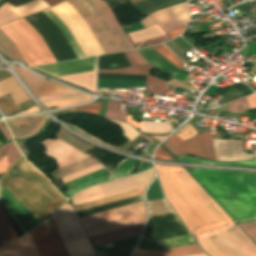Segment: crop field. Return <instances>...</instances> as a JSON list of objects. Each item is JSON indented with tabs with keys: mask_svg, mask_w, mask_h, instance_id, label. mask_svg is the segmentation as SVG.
I'll use <instances>...</instances> for the list:
<instances>
[{
	"mask_svg": "<svg viewBox=\"0 0 256 256\" xmlns=\"http://www.w3.org/2000/svg\"><path fill=\"white\" fill-rule=\"evenodd\" d=\"M8 77H11V74L6 71H0V80L6 79Z\"/></svg>",
	"mask_w": 256,
	"mask_h": 256,
	"instance_id": "obj_70",
	"label": "crop field"
},
{
	"mask_svg": "<svg viewBox=\"0 0 256 256\" xmlns=\"http://www.w3.org/2000/svg\"><path fill=\"white\" fill-rule=\"evenodd\" d=\"M101 105L102 104H92L90 106H86V107L75 109V110H83V111H86V112H91V113L98 114L99 110L101 108ZM70 111H72V110H70Z\"/></svg>",
	"mask_w": 256,
	"mask_h": 256,
	"instance_id": "obj_60",
	"label": "crop field"
},
{
	"mask_svg": "<svg viewBox=\"0 0 256 256\" xmlns=\"http://www.w3.org/2000/svg\"><path fill=\"white\" fill-rule=\"evenodd\" d=\"M83 194H76L72 201L74 206L105 198L99 185L84 190Z\"/></svg>",
	"mask_w": 256,
	"mask_h": 256,
	"instance_id": "obj_35",
	"label": "crop field"
},
{
	"mask_svg": "<svg viewBox=\"0 0 256 256\" xmlns=\"http://www.w3.org/2000/svg\"><path fill=\"white\" fill-rule=\"evenodd\" d=\"M213 140L219 161H240L255 158V154L242 151V142L239 140Z\"/></svg>",
	"mask_w": 256,
	"mask_h": 256,
	"instance_id": "obj_19",
	"label": "crop field"
},
{
	"mask_svg": "<svg viewBox=\"0 0 256 256\" xmlns=\"http://www.w3.org/2000/svg\"><path fill=\"white\" fill-rule=\"evenodd\" d=\"M100 168H102V166H101L100 164H98V165H96V166H93V167L88 168V169H86V170H83V171H81V172H78V173H75V174L70 175V176H68V177H65V178H63V181H64V183H65V182H68V181H70V180H73V179H75V178H78V177H80V176H83V175H85V174H87V173H90V172L95 171V170L100 169ZM102 169H103V168H102ZM97 171H98V170H97ZM92 173H93V172H92Z\"/></svg>",
	"mask_w": 256,
	"mask_h": 256,
	"instance_id": "obj_56",
	"label": "crop field"
},
{
	"mask_svg": "<svg viewBox=\"0 0 256 256\" xmlns=\"http://www.w3.org/2000/svg\"><path fill=\"white\" fill-rule=\"evenodd\" d=\"M99 117V116H97ZM103 118V117H100ZM107 119V118H104ZM110 120L116 124H118L124 131V136L127 137L130 141L133 140L135 137H137L140 133H138L135 129H133L130 125L123 123V122H119V121H115V120H111V119H107Z\"/></svg>",
	"mask_w": 256,
	"mask_h": 256,
	"instance_id": "obj_48",
	"label": "crop field"
},
{
	"mask_svg": "<svg viewBox=\"0 0 256 256\" xmlns=\"http://www.w3.org/2000/svg\"><path fill=\"white\" fill-rule=\"evenodd\" d=\"M38 111H39L38 108H37L36 106H34V107H32V108H30V109H28V110H26V111H24V112H21V113H19V114L31 113V112H38Z\"/></svg>",
	"mask_w": 256,
	"mask_h": 256,
	"instance_id": "obj_71",
	"label": "crop field"
},
{
	"mask_svg": "<svg viewBox=\"0 0 256 256\" xmlns=\"http://www.w3.org/2000/svg\"><path fill=\"white\" fill-rule=\"evenodd\" d=\"M31 166L22 156L1 181L42 223L66 200Z\"/></svg>",
	"mask_w": 256,
	"mask_h": 256,
	"instance_id": "obj_4",
	"label": "crop field"
},
{
	"mask_svg": "<svg viewBox=\"0 0 256 256\" xmlns=\"http://www.w3.org/2000/svg\"><path fill=\"white\" fill-rule=\"evenodd\" d=\"M153 48L159 52L161 55H163L165 58H167L169 61H171L174 65H176L178 68H181L183 66V62H181L173 53H171L164 45H156L153 46Z\"/></svg>",
	"mask_w": 256,
	"mask_h": 256,
	"instance_id": "obj_46",
	"label": "crop field"
},
{
	"mask_svg": "<svg viewBox=\"0 0 256 256\" xmlns=\"http://www.w3.org/2000/svg\"><path fill=\"white\" fill-rule=\"evenodd\" d=\"M8 94H10L15 104L29 99L13 77L0 81V97Z\"/></svg>",
	"mask_w": 256,
	"mask_h": 256,
	"instance_id": "obj_28",
	"label": "crop field"
},
{
	"mask_svg": "<svg viewBox=\"0 0 256 256\" xmlns=\"http://www.w3.org/2000/svg\"><path fill=\"white\" fill-rule=\"evenodd\" d=\"M234 86H235L244 96H246V95H248V94H250V93L253 92V91H252L250 88H248L246 85H244V84H242V83H236L235 85L230 86L229 88L226 87V88H224V89H221V88L218 87L217 90L215 91V93H217V94L223 96V95L225 94V92H226L228 89H231V88L234 87Z\"/></svg>",
	"mask_w": 256,
	"mask_h": 256,
	"instance_id": "obj_51",
	"label": "crop field"
},
{
	"mask_svg": "<svg viewBox=\"0 0 256 256\" xmlns=\"http://www.w3.org/2000/svg\"><path fill=\"white\" fill-rule=\"evenodd\" d=\"M138 52L152 65L159 68L163 72L167 73L170 76L176 75L179 70L170 62H168L164 57H162L159 53H157L152 48L138 50Z\"/></svg>",
	"mask_w": 256,
	"mask_h": 256,
	"instance_id": "obj_27",
	"label": "crop field"
},
{
	"mask_svg": "<svg viewBox=\"0 0 256 256\" xmlns=\"http://www.w3.org/2000/svg\"><path fill=\"white\" fill-rule=\"evenodd\" d=\"M155 166L165 196L194 235L233 221L183 167Z\"/></svg>",
	"mask_w": 256,
	"mask_h": 256,
	"instance_id": "obj_2",
	"label": "crop field"
},
{
	"mask_svg": "<svg viewBox=\"0 0 256 256\" xmlns=\"http://www.w3.org/2000/svg\"><path fill=\"white\" fill-rule=\"evenodd\" d=\"M125 56L127 57L128 61L130 62L131 66L138 65L136 61L130 56L128 52H124Z\"/></svg>",
	"mask_w": 256,
	"mask_h": 256,
	"instance_id": "obj_68",
	"label": "crop field"
},
{
	"mask_svg": "<svg viewBox=\"0 0 256 256\" xmlns=\"http://www.w3.org/2000/svg\"><path fill=\"white\" fill-rule=\"evenodd\" d=\"M121 103L122 102H115L110 100L105 116L117 118L125 121L127 115L120 114Z\"/></svg>",
	"mask_w": 256,
	"mask_h": 256,
	"instance_id": "obj_45",
	"label": "crop field"
},
{
	"mask_svg": "<svg viewBox=\"0 0 256 256\" xmlns=\"http://www.w3.org/2000/svg\"><path fill=\"white\" fill-rule=\"evenodd\" d=\"M149 68L154 67L147 64L142 66L126 67L114 70H98V72L147 75L145 92L164 95L166 89L168 88V85L165 84L166 81L149 76Z\"/></svg>",
	"mask_w": 256,
	"mask_h": 256,
	"instance_id": "obj_20",
	"label": "crop field"
},
{
	"mask_svg": "<svg viewBox=\"0 0 256 256\" xmlns=\"http://www.w3.org/2000/svg\"><path fill=\"white\" fill-rule=\"evenodd\" d=\"M172 41L181 49L183 53H186L192 49V47L180 36Z\"/></svg>",
	"mask_w": 256,
	"mask_h": 256,
	"instance_id": "obj_59",
	"label": "crop field"
},
{
	"mask_svg": "<svg viewBox=\"0 0 256 256\" xmlns=\"http://www.w3.org/2000/svg\"><path fill=\"white\" fill-rule=\"evenodd\" d=\"M168 135H165V136H153L155 137L156 139H158L159 141H162L164 138H166Z\"/></svg>",
	"mask_w": 256,
	"mask_h": 256,
	"instance_id": "obj_73",
	"label": "crop field"
},
{
	"mask_svg": "<svg viewBox=\"0 0 256 256\" xmlns=\"http://www.w3.org/2000/svg\"><path fill=\"white\" fill-rule=\"evenodd\" d=\"M56 137L66 141L67 143H69L70 145H72L73 147H75L76 149L81 151L82 153L94 148L86 143H83V142L77 140L76 138H74L72 135H70L68 132H66L61 127L59 128V131L57 132Z\"/></svg>",
	"mask_w": 256,
	"mask_h": 256,
	"instance_id": "obj_37",
	"label": "crop field"
},
{
	"mask_svg": "<svg viewBox=\"0 0 256 256\" xmlns=\"http://www.w3.org/2000/svg\"><path fill=\"white\" fill-rule=\"evenodd\" d=\"M58 78L95 92L96 71Z\"/></svg>",
	"mask_w": 256,
	"mask_h": 256,
	"instance_id": "obj_31",
	"label": "crop field"
},
{
	"mask_svg": "<svg viewBox=\"0 0 256 256\" xmlns=\"http://www.w3.org/2000/svg\"><path fill=\"white\" fill-rule=\"evenodd\" d=\"M0 29L16 45L28 66L42 65L41 61L45 60L56 62L41 35L24 18L5 24Z\"/></svg>",
	"mask_w": 256,
	"mask_h": 256,
	"instance_id": "obj_6",
	"label": "crop field"
},
{
	"mask_svg": "<svg viewBox=\"0 0 256 256\" xmlns=\"http://www.w3.org/2000/svg\"><path fill=\"white\" fill-rule=\"evenodd\" d=\"M13 68L16 72L21 76V78L29 85V87L34 91L36 96H41L50 93H58V92H65V91H73L67 87L49 82L40 76L29 72L22 68Z\"/></svg>",
	"mask_w": 256,
	"mask_h": 256,
	"instance_id": "obj_18",
	"label": "crop field"
},
{
	"mask_svg": "<svg viewBox=\"0 0 256 256\" xmlns=\"http://www.w3.org/2000/svg\"><path fill=\"white\" fill-rule=\"evenodd\" d=\"M134 256H165L163 250H136Z\"/></svg>",
	"mask_w": 256,
	"mask_h": 256,
	"instance_id": "obj_58",
	"label": "crop field"
},
{
	"mask_svg": "<svg viewBox=\"0 0 256 256\" xmlns=\"http://www.w3.org/2000/svg\"><path fill=\"white\" fill-rule=\"evenodd\" d=\"M53 6L64 0H43ZM87 22L105 53L133 49L109 6L102 0H66ZM49 8L69 29L85 57L103 54L85 20L67 3Z\"/></svg>",
	"mask_w": 256,
	"mask_h": 256,
	"instance_id": "obj_1",
	"label": "crop field"
},
{
	"mask_svg": "<svg viewBox=\"0 0 256 256\" xmlns=\"http://www.w3.org/2000/svg\"><path fill=\"white\" fill-rule=\"evenodd\" d=\"M178 159H179V161H186V162L212 163V164H223V165H231V166L256 168V160L246 161V162H238V163H221V162L200 160V159H196V158H192V157H188V156L180 157Z\"/></svg>",
	"mask_w": 256,
	"mask_h": 256,
	"instance_id": "obj_44",
	"label": "crop field"
},
{
	"mask_svg": "<svg viewBox=\"0 0 256 256\" xmlns=\"http://www.w3.org/2000/svg\"><path fill=\"white\" fill-rule=\"evenodd\" d=\"M1 124H3L2 121H0V130L3 134V136L5 137L6 141L11 140L12 138H11L10 134L8 133L6 127H3Z\"/></svg>",
	"mask_w": 256,
	"mask_h": 256,
	"instance_id": "obj_65",
	"label": "crop field"
},
{
	"mask_svg": "<svg viewBox=\"0 0 256 256\" xmlns=\"http://www.w3.org/2000/svg\"><path fill=\"white\" fill-rule=\"evenodd\" d=\"M144 220H145V215L140 216V217H136V218H132V219H129V220L117 222V223H114V224L102 226V227H99V228L87 230L86 232H87L88 236L90 237V236L102 234V233H105V232L113 231V230H116V229L128 227V226H131V225L143 223Z\"/></svg>",
	"mask_w": 256,
	"mask_h": 256,
	"instance_id": "obj_33",
	"label": "crop field"
},
{
	"mask_svg": "<svg viewBox=\"0 0 256 256\" xmlns=\"http://www.w3.org/2000/svg\"><path fill=\"white\" fill-rule=\"evenodd\" d=\"M87 100H90V99H85V100H67V101H48V102H43V104L46 107L56 105L57 108H59V107H63V106H67V105H71V104L87 101Z\"/></svg>",
	"mask_w": 256,
	"mask_h": 256,
	"instance_id": "obj_55",
	"label": "crop field"
},
{
	"mask_svg": "<svg viewBox=\"0 0 256 256\" xmlns=\"http://www.w3.org/2000/svg\"><path fill=\"white\" fill-rule=\"evenodd\" d=\"M158 241L162 243L164 249L195 243L190 235L175 237V238H170V239H164V240H158Z\"/></svg>",
	"mask_w": 256,
	"mask_h": 256,
	"instance_id": "obj_43",
	"label": "crop field"
},
{
	"mask_svg": "<svg viewBox=\"0 0 256 256\" xmlns=\"http://www.w3.org/2000/svg\"><path fill=\"white\" fill-rule=\"evenodd\" d=\"M0 193L1 203L25 233L40 224L1 182Z\"/></svg>",
	"mask_w": 256,
	"mask_h": 256,
	"instance_id": "obj_13",
	"label": "crop field"
},
{
	"mask_svg": "<svg viewBox=\"0 0 256 256\" xmlns=\"http://www.w3.org/2000/svg\"><path fill=\"white\" fill-rule=\"evenodd\" d=\"M192 175L235 221L256 217V174L195 168Z\"/></svg>",
	"mask_w": 256,
	"mask_h": 256,
	"instance_id": "obj_3",
	"label": "crop field"
},
{
	"mask_svg": "<svg viewBox=\"0 0 256 256\" xmlns=\"http://www.w3.org/2000/svg\"><path fill=\"white\" fill-rule=\"evenodd\" d=\"M109 180H113V178L109 174V172L103 168V169H100L98 171H95L93 173L87 174L83 177H80L78 179H75L73 181L66 183L65 185L70 190L63 192L61 194H63L66 198H69L76 192H78L90 185L109 181Z\"/></svg>",
	"mask_w": 256,
	"mask_h": 256,
	"instance_id": "obj_23",
	"label": "crop field"
},
{
	"mask_svg": "<svg viewBox=\"0 0 256 256\" xmlns=\"http://www.w3.org/2000/svg\"><path fill=\"white\" fill-rule=\"evenodd\" d=\"M48 7L42 0H35L17 8L6 2L0 7V25L10 20L40 12Z\"/></svg>",
	"mask_w": 256,
	"mask_h": 256,
	"instance_id": "obj_21",
	"label": "crop field"
},
{
	"mask_svg": "<svg viewBox=\"0 0 256 256\" xmlns=\"http://www.w3.org/2000/svg\"><path fill=\"white\" fill-rule=\"evenodd\" d=\"M229 108L230 112L232 113H241L245 110L250 109L245 98L237 102L230 103Z\"/></svg>",
	"mask_w": 256,
	"mask_h": 256,
	"instance_id": "obj_52",
	"label": "crop field"
},
{
	"mask_svg": "<svg viewBox=\"0 0 256 256\" xmlns=\"http://www.w3.org/2000/svg\"><path fill=\"white\" fill-rule=\"evenodd\" d=\"M195 256H205L204 254H201V255H195Z\"/></svg>",
	"mask_w": 256,
	"mask_h": 256,
	"instance_id": "obj_76",
	"label": "crop field"
},
{
	"mask_svg": "<svg viewBox=\"0 0 256 256\" xmlns=\"http://www.w3.org/2000/svg\"><path fill=\"white\" fill-rule=\"evenodd\" d=\"M96 164H98V162L95 159L89 157L87 159L76 162L75 164H70L65 167L59 168V169L55 170L54 172H52L51 175L56 180H58L60 178H63L65 176H68L70 174H73L75 172H78L80 170H83L85 168H88V167L96 165Z\"/></svg>",
	"mask_w": 256,
	"mask_h": 256,
	"instance_id": "obj_30",
	"label": "crop field"
},
{
	"mask_svg": "<svg viewBox=\"0 0 256 256\" xmlns=\"http://www.w3.org/2000/svg\"><path fill=\"white\" fill-rule=\"evenodd\" d=\"M141 131L149 132V133H167V132H171L172 130L168 121H163V122L142 121Z\"/></svg>",
	"mask_w": 256,
	"mask_h": 256,
	"instance_id": "obj_38",
	"label": "crop field"
},
{
	"mask_svg": "<svg viewBox=\"0 0 256 256\" xmlns=\"http://www.w3.org/2000/svg\"><path fill=\"white\" fill-rule=\"evenodd\" d=\"M136 160L127 158L121 161L118 166L111 172L115 178L129 175V171L135 168Z\"/></svg>",
	"mask_w": 256,
	"mask_h": 256,
	"instance_id": "obj_41",
	"label": "crop field"
},
{
	"mask_svg": "<svg viewBox=\"0 0 256 256\" xmlns=\"http://www.w3.org/2000/svg\"><path fill=\"white\" fill-rule=\"evenodd\" d=\"M241 97H243V95L234 87L233 89L228 90L220 100L226 104Z\"/></svg>",
	"mask_w": 256,
	"mask_h": 256,
	"instance_id": "obj_54",
	"label": "crop field"
},
{
	"mask_svg": "<svg viewBox=\"0 0 256 256\" xmlns=\"http://www.w3.org/2000/svg\"><path fill=\"white\" fill-rule=\"evenodd\" d=\"M140 136L146 138L147 140H149V141H151V142L154 141V140H152V139H150V138H148V137H146V136H144V135H142V134H141Z\"/></svg>",
	"mask_w": 256,
	"mask_h": 256,
	"instance_id": "obj_74",
	"label": "crop field"
},
{
	"mask_svg": "<svg viewBox=\"0 0 256 256\" xmlns=\"http://www.w3.org/2000/svg\"><path fill=\"white\" fill-rule=\"evenodd\" d=\"M143 225H144V223L135 225V226H131L128 228L120 229L117 231L105 233L102 235L90 237L89 239H90L93 247H95V246L131 238V237L139 236L143 229Z\"/></svg>",
	"mask_w": 256,
	"mask_h": 256,
	"instance_id": "obj_24",
	"label": "crop field"
},
{
	"mask_svg": "<svg viewBox=\"0 0 256 256\" xmlns=\"http://www.w3.org/2000/svg\"><path fill=\"white\" fill-rule=\"evenodd\" d=\"M29 234L40 256H68L52 220Z\"/></svg>",
	"mask_w": 256,
	"mask_h": 256,
	"instance_id": "obj_10",
	"label": "crop field"
},
{
	"mask_svg": "<svg viewBox=\"0 0 256 256\" xmlns=\"http://www.w3.org/2000/svg\"><path fill=\"white\" fill-rule=\"evenodd\" d=\"M0 256H39L29 234L0 248Z\"/></svg>",
	"mask_w": 256,
	"mask_h": 256,
	"instance_id": "obj_25",
	"label": "crop field"
},
{
	"mask_svg": "<svg viewBox=\"0 0 256 256\" xmlns=\"http://www.w3.org/2000/svg\"><path fill=\"white\" fill-rule=\"evenodd\" d=\"M44 145L46 148V154L54 159H56L59 167L79 161L81 159L87 158L89 156L80 153L76 149H74L69 144L65 143L60 139L55 140H47L39 145Z\"/></svg>",
	"mask_w": 256,
	"mask_h": 256,
	"instance_id": "obj_16",
	"label": "crop field"
},
{
	"mask_svg": "<svg viewBox=\"0 0 256 256\" xmlns=\"http://www.w3.org/2000/svg\"><path fill=\"white\" fill-rule=\"evenodd\" d=\"M137 249H163L160 243L141 239Z\"/></svg>",
	"mask_w": 256,
	"mask_h": 256,
	"instance_id": "obj_57",
	"label": "crop field"
},
{
	"mask_svg": "<svg viewBox=\"0 0 256 256\" xmlns=\"http://www.w3.org/2000/svg\"><path fill=\"white\" fill-rule=\"evenodd\" d=\"M48 118L46 115H36L27 117H18L6 120L14 139L25 138L36 133L44 121Z\"/></svg>",
	"mask_w": 256,
	"mask_h": 256,
	"instance_id": "obj_17",
	"label": "crop field"
},
{
	"mask_svg": "<svg viewBox=\"0 0 256 256\" xmlns=\"http://www.w3.org/2000/svg\"><path fill=\"white\" fill-rule=\"evenodd\" d=\"M137 1H139V0H132V1H130V3L133 4V3L137 2Z\"/></svg>",
	"mask_w": 256,
	"mask_h": 256,
	"instance_id": "obj_75",
	"label": "crop field"
},
{
	"mask_svg": "<svg viewBox=\"0 0 256 256\" xmlns=\"http://www.w3.org/2000/svg\"><path fill=\"white\" fill-rule=\"evenodd\" d=\"M0 49L3 50L5 53L10 55L11 57L22 60V56L18 52L15 45L6 37V35L0 30Z\"/></svg>",
	"mask_w": 256,
	"mask_h": 256,
	"instance_id": "obj_39",
	"label": "crop field"
},
{
	"mask_svg": "<svg viewBox=\"0 0 256 256\" xmlns=\"http://www.w3.org/2000/svg\"><path fill=\"white\" fill-rule=\"evenodd\" d=\"M0 108L4 112L5 116L19 110V108L10 101L6 96L0 98Z\"/></svg>",
	"mask_w": 256,
	"mask_h": 256,
	"instance_id": "obj_49",
	"label": "crop field"
},
{
	"mask_svg": "<svg viewBox=\"0 0 256 256\" xmlns=\"http://www.w3.org/2000/svg\"><path fill=\"white\" fill-rule=\"evenodd\" d=\"M52 219L70 256L95 255L76 213L68 202Z\"/></svg>",
	"mask_w": 256,
	"mask_h": 256,
	"instance_id": "obj_7",
	"label": "crop field"
},
{
	"mask_svg": "<svg viewBox=\"0 0 256 256\" xmlns=\"http://www.w3.org/2000/svg\"><path fill=\"white\" fill-rule=\"evenodd\" d=\"M51 21L60 29L68 43L70 44L71 48L73 49L74 53L76 54L77 58H82L84 55L82 54L81 50L77 46L76 42L74 41L73 37L71 36L70 32L68 31L67 27L49 10L43 11Z\"/></svg>",
	"mask_w": 256,
	"mask_h": 256,
	"instance_id": "obj_34",
	"label": "crop field"
},
{
	"mask_svg": "<svg viewBox=\"0 0 256 256\" xmlns=\"http://www.w3.org/2000/svg\"><path fill=\"white\" fill-rule=\"evenodd\" d=\"M175 134L179 135L185 141L198 133L188 123L183 128H181L178 132H176Z\"/></svg>",
	"mask_w": 256,
	"mask_h": 256,
	"instance_id": "obj_53",
	"label": "crop field"
},
{
	"mask_svg": "<svg viewBox=\"0 0 256 256\" xmlns=\"http://www.w3.org/2000/svg\"><path fill=\"white\" fill-rule=\"evenodd\" d=\"M170 1H173V0H146V1L136 4L134 6L143 12L147 9L156 7L158 5H161L163 3L170 2Z\"/></svg>",
	"mask_w": 256,
	"mask_h": 256,
	"instance_id": "obj_50",
	"label": "crop field"
},
{
	"mask_svg": "<svg viewBox=\"0 0 256 256\" xmlns=\"http://www.w3.org/2000/svg\"><path fill=\"white\" fill-rule=\"evenodd\" d=\"M149 203V216L171 213L173 210L170 208L165 199L151 201Z\"/></svg>",
	"mask_w": 256,
	"mask_h": 256,
	"instance_id": "obj_42",
	"label": "crop field"
},
{
	"mask_svg": "<svg viewBox=\"0 0 256 256\" xmlns=\"http://www.w3.org/2000/svg\"><path fill=\"white\" fill-rule=\"evenodd\" d=\"M163 146H164L166 149H168L172 154H175V155L184 154V153H182V152H180V151L174 149L173 147H171L167 141L163 143Z\"/></svg>",
	"mask_w": 256,
	"mask_h": 256,
	"instance_id": "obj_64",
	"label": "crop field"
},
{
	"mask_svg": "<svg viewBox=\"0 0 256 256\" xmlns=\"http://www.w3.org/2000/svg\"><path fill=\"white\" fill-rule=\"evenodd\" d=\"M168 142L170 143L171 146L176 148L184 141L181 140L175 134H173L168 139ZM176 149L187 154H192V155H197V156L217 160L210 132L198 134L190 138L189 140H187L185 143H183Z\"/></svg>",
	"mask_w": 256,
	"mask_h": 256,
	"instance_id": "obj_12",
	"label": "crop field"
},
{
	"mask_svg": "<svg viewBox=\"0 0 256 256\" xmlns=\"http://www.w3.org/2000/svg\"><path fill=\"white\" fill-rule=\"evenodd\" d=\"M145 214V203L139 202L101 213L81 217L85 229H91L117 221L129 219Z\"/></svg>",
	"mask_w": 256,
	"mask_h": 256,
	"instance_id": "obj_11",
	"label": "crop field"
},
{
	"mask_svg": "<svg viewBox=\"0 0 256 256\" xmlns=\"http://www.w3.org/2000/svg\"><path fill=\"white\" fill-rule=\"evenodd\" d=\"M129 53L132 55V57L137 61V63L140 64H146L148 63L143 57H141L135 50L129 51Z\"/></svg>",
	"mask_w": 256,
	"mask_h": 256,
	"instance_id": "obj_62",
	"label": "crop field"
},
{
	"mask_svg": "<svg viewBox=\"0 0 256 256\" xmlns=\"http://www.w3.org/2000/svg\"><path fill=\"white\" fill-rule=\"evenodd\" d=\"M155 158L158 159H166V160H171L173 159L168 153H166L160 146L155 154Z\"/></svg>",
	"mask_w": 256,
	"mask_h": 256,
	"instance_id": "obj_61",
	"label": "crop field"
},
{
	"mask_svg": "<svg viewBox=\"0 0 256 256\" xmlns=\"http://www.w3.org/2000/svg\"><path fill=\"white\" fill-rule=\"evenodd\" d=\"M139 237L95 247L97 256H131Z\"/></svg>",
	"mask_w": 256,
	"mask_h": 256,
	"instance_id": "obj_26",
	"label": "crop field"
},
{
	"mask_svg": "<svg viewBox=\"0 0 256 256\" xmlns=\"http://www.w3.org/2000/svg\"><path fill=\"white\" fill-rule=\"evenodd\" d=\"M246 99H247L251 109L256 107V93L246 97Z\"/></svg>",
	"mask_w": 256,
	"mask_h": 256,
	"instance_id": "obj_63",
	"label": "crop field"
},
{
	"mask_svg": "<svg viewBox=\"0 0 256 256\" xmlns=\"http://www.w3.org/2000/svg\"><path fill=\"white\" fill-rule=\"evenodd\" d=\"M18 238L10 220L0 206V246Z\"/></svg>",
	"mask_w": 256,
	"mask_h": 256,
	"instance_id": "obj_32",
	"label": "crop field"
},
{
	"mask_svg": "<svg viewBox=\"0 0 256 256\" xmlns=\"http://www.w3.org/2000/svg\"><path fill=\"white\" fill-rule=\"evenodd\" d=\"M68 125H69V124H68ZM70 126H71V125H70ZM72 127H74V126H72ZM74 128H76V127H74ZM76 129H78V128H76ZM78 130H80V129H78ZM80 131H82V130H80ZM82 132H84V131H82ZM84 133L87 134L88 136H90V137H92V138H94V139H96V140L102 142L101 140L97 139L96 137H94V136H92V135H90V134H88V133H86V132H84ZM102 143H104V142H102ZM105 144H106V143H105Z\"/></svg>",
	"mask_w": 256,
	"mask_h": 256,
	"instance_id": "obj_72",
	"label": "crop field"
},
{
	"mask_svg": "<svg viewBox=\"0 0 256 256\" xmlns=\"http://www.w3.org/2000/svg\"><path fill=\"white\" fill-rule=\"evenodd\" d=\"M21 156L20 151L14 143H8L0 149V174H4L7 169ZM9 170V169H8Z\"/></svg>",
	"mask_w": 256,
	"mask_h": 256,
	"instance_id": "obj_29",
	"label": "crop field"
},
{
	"mask_svg": "<svg viewBox=\"0 0 256 256\" xmlns=\"http://www.w3.org/2000/svg\"><path fill=\"white\" fill-rule=\"evenodd\" d=\"M236 223L256 242V218Z\"/></svg>",
	"mask_w": 256,
	"mask_h": 256,
	"instance_id": "obj_47",
	"label": "crop field"
},
{
	"mask_svg": "<svg viewBox=\"0 0 256 256\" xmlns=\"http://www.w3.org/2000/svg\"><path fill=\"white\" fill-rule=\"evenodd\" d=\"M168 256H189L201 254L202 251L197 244L165 250Z\"/></svg>",
	"mask_w": 256,
	"mask_h": 256,
	"instance_id": "obj_40",
	"label": "crop field"
},
{
	"mask_svg": "<svg viewBox=\"0 0 256 256\" xmlns=\"http://www.w3.org/2000/svg\"><path fill=\"white\" fill-rule=\"evenodd\" d=\"M143 190L144 189H141V190L133 191V192H130V193L118 195V196H115V197L107 198V199H104V200H100V201H96V202L76 206L75 208H76L77 212L82 211V210H86V209H90V208L101 206V205H104V204L116 202V201H119V200L127 199V198L138 196V195H142Z\"/></svg>",
	"mask_w": 256,
	"mask_h": 256,
	"instance_id": "obj_36",
	"label": "crop field"
},
{
	"mask_svg": "<svg viewBox=\"0 0 256 256\" xmlns=\"http://www.w3.org/2000/svg\"><path fill=\"white\" fill-rule=\"evenodd\" d=\"M126 121L129 122V123H131V124H133L135 127H137V128L140 129L141 122H135V121L131 120V116L128 115Z\"/></svg>",
	"mask_w": 256,
	"mask_h": 256,
	"instance_id": "obj_69",
	"label": "crop field"
},
{
	"mask_svg": "<svg viewBox=\"0 0 256 256\" xmlns=\"http://www.w3.org/2000/svg\"><path fill=\"white\" fill-rule=\"evenodd\" d=\"M151 167H152L151 164L140 163L138 172H141V171H143V170L149 169V168H151ZM138 172H137V173H138Z\"/></svg>",
	"mask_w": 256,
	"mask_h": 256,
	"instance_id": "obj_67",
	"label": "crop field"
},
{
	"mask_svg": "<svg viewBox=\"0 0 256 256\" xmlns=\"http://www.w3.org/2000/svg\"><path fill=\"white\" fill-rule=\"evenodd\" d=\"M210 256H256V245L235 223L196 237Z\"/></svg>",
	"mask_w": 256,
	"mask_h": 256,
	"instance_id": "obj_5",
	"label": "crop field"
},
{
	"mask_svg": "<svg viewBox=\"0 0 256 256\" xmlns=\"http://www.w3.org/2000/svg\"><path fill=\"white\" fill-rule=\"evenodd\" d=\"M139 21L145 28L157 24L165 32L187 25L189 11L187 3L153 12Z\"/></svg>",
	"mask_w": 256,
	"mask_h": 256,
	"instance_id": "obj_9",
	"label": "crop field"
},
{
	"mask_svg": "<svg viewBox=\"0 0 256 256\" xmlns=\"http://www.w3.org/2000/svg\"><path fill=\"white\" fill-rule=\"evenodd\" d=\"M134 48L148 46L170 40L168 35L157 25L147 29L135 31L127 34Z\"/></svg>",
	"mask_w": 256,
	"mask_h": 256,
	"instance_id": "obj_22",
	"label": "crop field"
},
{
	"mask_svg": "<svg viewBox=\"0 0 256 256\" xmlns=\"http://www.w3.org/2000/svg\"><path fill=\"white\" fill-rule=\"evenodd\" d=\"M183 29H184V27L173 30V31H170V32H167V34L172 39V38L176 37L177 35H179L182 32Z\"/></svg>",
	"mask_w": 256,
	"mask_h": 256,
	"instance_id": "obj_66",
	"label": "crop field"
},
{
	"mask_svg": "<svg viewBox=\"0 0 256 256\" xmlns=\"http://www.w3.org/2000/svg\"><path fill=\"white\" fill-rule=\"evenodd\" d=\"M97 57L33 67L54 77L96 70Z\"/></svg>",
	"mask_w": 256,
	"mask_h": 256,
	"instance_id": "obj_14",
	"label": "crop field"
},
{
	"mask_svg": "<svg viewBox=\"0 0 256 256\" xmlns=\"http://www.w3.org/2000/svg\"><path fill=\"white\" fill-rule=\"evenodd\" d=\"M153 175V170H149L132 177L101 184L105 197H110L125 192L137 190L146 187Z\"/></svg>",
	"mask_w": 256,
	"mask_h": 256,
	"instance_id": "obj_15",
	"label": "crop field"
},
{
	"mask_svg": "<svg viewBox=\"0 0 256 256\" xmlns=\"http://www.w3.org/2000/svg\"><path fill=\"white\" fill-rule=\"evenodd\" d=\"M25 19L42 35L57 62L76 58L59 29L42 12Z\"/></svg>",
	"mask_w": 256,
	"mask_h": 256,
	"instance_id": "obj_8",
	"label": "crop field"
}]
</instances>
